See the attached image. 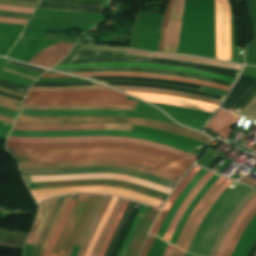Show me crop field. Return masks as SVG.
I'll return each instance as SVG.
<instances>
[{"label":"crop field","mask_w":256,"mask_h":256,"mask_svg":"<svg viewBox=\"0 0 256 256\" xmlns=\"http://www.w3.org/2000/svg\"><path fill=\"white\" fill-rule=\"evenodd\" d=\"M19 161L68 162L99 159H117L140 163L158 168L180 177L189 166L179 164L152 154L114 148L66 149L53 151H32L7 148Z\"/></svg>","instance_id":"obj_1"},{"label":"crop field","mask_w":256,"mask_h":256,"mask_svg":"<svg viewBox=\"0 0 256 256\" xmlns=\"http://www.w3.org/2000/svg\"><path fill=\"white\" fill-rule=\"evenodd\" d=\"M16 123H30V124H89V123H124V124H138L147 127L160 129L163 131L183 135L202 142H209L210 138L187 128L158 121L133 119V118H119V117H24L19 116Z\"/></svg>","instance_id":"obj_2"},{"label":"crop field","mask_w":256,"mask_h":256,"mask_svg":"<svg viewBox=\"0 0 256 256\" xmlns=\"http://www.w3.org/2000/svg\"><path fill=\"white\" fill-rule=\"evenodd\" d=\"M98 195L79 194L51 256H69Z\"/></svg>","instance_id":"obj_3"},{"label":"crop field","mask_w":256,"mask_h":256,"mask_svg":"<svg viewBox=\"0 0 256 256\" xmlns=\"http://www.w3.org/2000/svg\"><path fill=\"white\" fill-rule=\"evenodd\" d=\"M232 180L220 176V178L212 185L209 191L200 200L198 205L189 215L178 239L176 246L187 250L196 229L204 218L212 204L221 195V193L227 188Z\"/></svg>","instance_id":"obj_4"},{"label":"crop field","mask_w":256,"mask_h":256,"mask_svg":"<svg viewBox=\"0 0 256 256\" xmlns=\"http://www.w3.org/2000/svg\"><path fill=\"white\" fill-rule=\"evenodd\" d=\"M6 147L17 149H33V150H52V149H66V148H86V147H115L136 150L140 152L152 153L179 163L191 166L193 161L183 157L170 154L158 149L149 148L142 145L116 143V142H89V143H70V144H27V143H11L7 142Z\"/></svg>","instance_id":"obj_5"},{"label":"crop field","mask_w":256,"mask_h":256,"mask_svg":"<svg viewBox=\"0 0 256 256\" xmlns=\"http://www.w3.org/2000/svg\"><path fill=\"white\" fill-rule=\"evenodd\" d=\"M7 141L12 142H27V143H70V142H88V141H117V142H128L143 144L149 147L159 148L170 153H174L185 158L195 161L196 156L186 153L181 150H177L164 145L139 140L135 138L126 137H110V136H95V137H50V138H32V137H9Z\"/></svg>","instance_id":"obj_6"},{"label":"crop field","mask_w":256,"mask_h":256,"mask_svg":"<svg viewBox=\"0 0 256 256\" xmlns=\"http://www.w3.org/2000/svg\"><path fill=\"white\" fill-rule=\"evenodd\" d=\"M66 192H88V193H107L114 194L124 198L140 201L143 203L151 204L157 206L160 200L139 194L127 189L122 188H113V187H105V186H85V187H63V188H55V189H40L31 191L33 197L36 201L43 200L45 198L56 196L58 194L66 193Z\"/></svg>","instance_id":"obj_7"},{"label":"crop field","mask_w":256,"mask_h":256,"mask_svg":"<svg viewBox=\"0 0 256 256\" xmlns=\"http://www.w3.org/2000/svg\"><path fill=\"white\" fill-rule=\"evenodd\" d=\"M94 135H110V136H127L135 137L144 140H149L157 143H161L167 146H171L177 149H181L191 153L195 148L186 146L180 143L169 141L163 138L146 135L142 133L124 132V131H64V132H24V131H11L9 136H33V137H49V136H94Z\"/></svg>","instance_id":"obj_8"},{"label":"crop field","mask_w":256,"mask_h":256,"mask_svg":"<svg viewBox=\"0 0 256 256\" xmlns=\"http://www.w3.org/2000/svg\"><path fill=\"white\" fill-rule=\"evenodd\" d=\"M216 59L231 61L230 7L227 0H215Z\"/></svg>","instance_id":"obj_9"},{"label":"crop field","mask_w":256,"mask_h":256,"mask_svg":"<svg viewBox=\"0 0 256 256\" xmlns=\"http://www.w3.org/2000/svg\"><path fill=\"white\" fill-rule=\"evenodd\" d=\"M54 168H66V167H82V166H96V165H105V166H119L129 169H134L138 171H142L144 165L123 162V161H116V160H99V161H85V162H69V163H53ZM20 169L25 168H53L52 163H26V162H19ZM144 172L165 178L167 180L177 182L180 177L175 175L169 174L167 172L154 169L151 167H145Z\"/></svg>","instance_id":"obj_10"},{"label":"crop field","mask_w":256,"mask_h":256,"mask_svg":"<svg viewBox=\"0 0 256 256\" xmlns=\"http://www.w3.org/2000/svg\"><path fill=\"white\" fill-rule=\"evenodd\" d=\"M29 190L62 186H85V185H107L114 187L127 188L139 193L147 194L165 201L167 194L160 193L142 186L126 183L118 180H81V181H57L42 183H27Z\"/></svg>","instance_id":"obj_11"},{"label":"crop field","mask_w":256,"mask_h":256,"mask_svg":"<svg viewBox=\"0 0 256 256\" xmlns=\"http://www.w3.org/2000/svg\"><path fill=\"white\" fill-rule=\"evenodd\" d=\"M127 96L115 90L87 92H28L30 100H70V99H122Z\"/></svg>","instance_id":"obj_12"},{"label":"crop field","mask_w":256,"mask_h":256,"mask_svg":"<svg viewBox=\"0 0 256 256\" xmlns=\"http://www.w3.org/2000/svg\"><path fill=\"white\" fill-rule=\"evenodd\" d=\"M31 182H41V181H57V180H81V179H119L138 185H142L157 191H161L169 194L170 189L162 187L160 185L154 184L149 181L141 180L136 177L124 176L119 174H103V173H94V174H73L65 176H30Z\"/></svg>","instance_id":"obj_13"},{"label":"crop field","mask_w":256,"mask_h":256,"mask_svg":"<svg viewBox=\"0 0 256 256\" xmlns=\"http://www.w3.org/2000/svg\"><path fill=\"white\" fill-rule=\"evenodd\" d=\"M134 125L124 124H89V125H29L15 124L13 129L24 131H64V130H93L115 129L131 131Z\"/></svg>","instance_id":"obj_14"},{"label":"crop field","mask_w":256,"mask_h":256,"mask_svg":"<svg viewBox=\"0 0 256 256\" xmlns=\"http://www.w3.org/2000/svg\"><path fill=\"white\" fill-rule=\"evenodd\" d=\"M110 66H133V67H145V68H156V69H164V70H171V71H179V72H186V73H193V74L215 77V78L223 79L225 81H229L232 83L235 80L233 78L212 74V73L194 71L186 68L172 67L167 65L149 64V63H98V64H83V65H56L52 69H72V68L110 67Z\"/></svg>","instance_id":"obj_15"},{"label":"crop field","mask_w":256,"mask_h":256,"mask_svg":"<svg viewBox=\"0 0 256 256\" xmlns=\"http://www.w3.org/2000/svg\"><path fill=\"white\" fill-rule=\"evenodd\" d=\"M128 93L138 96L140 98H143L147 101L166 103V104H171V105L180 106V107L200 109V110H204L211 113H213V111L217 107V105H213L210 103L194 101V100L181 98V97L156 95V94H150V93H136V92H128Z\"/></svg>","instance_id":"obj_16"},{"label":"crop field","mask_w":256,"mask_h":256,"mask_svg":"<svg viewBox=\"0 0 256 256\" xmlns=\"http://www.w3.org/2000/svg\"><path fill=\"white\" fill-rule=\"evenodd\" d=\"M184 0H173L163 52L176 53Z\"/></svg>","instance_id":"obj_17"},{"label":"crop field","mask_w":256,"mask_h":256,"mask_svg":"<svg viewBox=\"0 0 256 256\" xmlns=\"http://www.w3.org/2000/svg\"><path fill=\"white\" fill-rule=\"evenodd\" d=\"M77 195L78 194L72 195V197H71V195H69V196L66 197V199H65V201H64V203H63V205H62V207H61V209H60V211H59V213H58V215H57V217H56V219H55V221H54V223L52 225V228H51V230L49 232V235H48V237H47V239H46V241H45V243H44V245H43V247H42V249H41V251L39 253V256H43L44 255V253L46 251V248H47V246H48V244H49V242H50V240H51V238L53 236V233H54V231H55V229H56V227L58 225V222H59V220H60V218H61V216L63 214V211H64V209H65V207H66V205H67V203H68V201H69V199L71 197V199H70V201H69V203H68V205H67V207H66V209L64 211V214H63V216H62V218H61V220L59 222V225H58V227H57V229H56V231L54 233V236H53V238H52V240H51V242H50V244L48 246V249H47V251H46V253L44 255V256H50V254H51V252H52V250L54 248V245H55V243H56V241H57V239H58V237H59V235L61 233V230H62V228H63V226H64V224H65V222H66V220L68 218V215H69V213H70V211H71V209H72V207H73V205L75 203Z\"/></svg>","instance_id":"obj_18"},{"label":"crop field","mask_w":256,"mask_h":256,"mask_svg":"<svg viewBox=\"0 0 256 256\" xmlns=\"http://www.w3.org/2000/svg\"><path fill=\"white\" fill-rule=\"evenodd\" d=\"M72 46L70 43L58 42L41 50L29 63L50 68L62 60Z\"/></svg>","instance_id":"obj_19"},{"label":"crop field","mask_w":256,"mask_h":256,"mask_svg":"<svg viewBox=\"0 0 256 256\" xmlns=\"http://www.w3.org/2000/svg\"><path fill=\"white\" fill-rule=\"evenodd\" d=\"M157 213V211L152 210V207L148 206L124 256H137Z\"/></svg>","instance_id":"obj_20"},{"label":"crop field","mask_w":256,"mask_h":256,"mask_svg":"<svg viewBox=\"0 0 256 256\" xmlns=\"http://www.w3.org/2000/svg\"><path fill=\"white\" fill-rule=\"evenodd\" d=\"M73 74L80 75V76H139V77H149V78H157V79H170L175 81H184V82H191L195 84L207 85V86L216 87V88H220L227 91L229 90V87L211 83V82H205V81H199V80H193V79H187V78H181V77H175V76L154 75V74H146V73L87 72V73H73Z\"/></svg>","instance_id":"obj_21"},{"label":"crop field","mask_w":256,"mask_h":256,"mask_svg":"<svg viewBox=\"0 0 256 256\" xmlns=\"http://www.w3.org/2000/svg\"><path fill=\"white\" fill-rule=\"evenodd\" d=\"M239 117L240 115L219 109L205 128L210 129L227 139L234 123Z\"/></svg>","instance_id":"obj_22"},{"label":"crop field","mask_w":256,"mask_h":256,"mask_svg":"<svg viewBox=\"0 0 256 256\" xmlns=\"http://www.w3.org/2000/svg\"><path fill=\"white\" fill-rule=\"evenodd\" d=\"M201 169V167L194 165V167L189 171V173L183 178V180L180 182V184L177 186V188L173 191L171 196L166 201L163 209L159 213L150 233L153 235H156L159 227L161 226L164 218L166 217L168 211L184 189V187L188 184V182L193 178V176Z\"/></svg>","instance_id":"obj_23"},{"label":"crop field","mask_w":256,"mask_h":256,"mask_svg":"<svg viewBox=\"0 0 256 256\" xmlns=\"http://www.w3.org/2000/svg\"><path fill=\"white\" fill-rule=\"evenodd\" d=\"M57 198V197H56ZM56 198L49 199L39 204L35 224L26 240V243L34 245L52 208Z\"/></svg>","instance_id":"obj_24"},{"label":"crop field","mask_w":256,"mask_h":256,"mask_svg":"<svg viewBox=\"0 0 256 256\" xmlns=\"http://www.w3.org/2000/svg\"><path fill=\"white\" fill-rule=\"evenodd\" d=\"M213 175V173L207 171V173L199 180V182L195 185V187L192 189V191L189 193V195L186 197V199L181 204L180 208L178 209L172 223L170 224L165 236L164 240L168 241L170 240L172 233L178 224L183 212L185 211L188 204L191 202V200L195 197L197 192L200 190V188L204 185V183Z\"/></svg>","instance_id":"obj_25"},{"label":"crop field","mask_w":256,"mask_h":256,"mask_svg":"<svg viewBox=\"0 0 256 256\" xmlns=\"http://www.w3.org/2000/svg\"><path fill=\"white\" fill-rule=\"evenodd\" d=\"M206 173V170L201 169L195 176L194 178L189 182V184L185 187V189L183 190V192L181 193V195L179 196V198L177 199V201L175 202V204L173 205V207L171 208V210L169 211L167 217L165 218L158 234L157 237L159 238H163L166 229L168 227V225L170 224L174 214L176 213L177 209L179 208L180 204L182 203V201L185 199V197L188 195V193L190 192V190L193 188V186L198 182V180Z\"/></svg>","instance_id":"obj_26"},{"label":"crop field","mask_w":256,"mask_h":256,"mask_svg":"<svg viewBox=\"0 0 256 256\" xmlns=\"http://www.w3.org/2000/svg\"><path fill=\"white\" fill-rule=\"evenodd\" d=\"M120 90H127V91H137V92H150V88L146 87H124V86H112ZM152 93H158V94H166V95H174V96H182L194 100L199 101H205L210 102L219 105L221 100L209 98V97H203V96H197V95H191L186 94L182 92L172 91V90H166V89H158V88H151Z\"/></svg>","instance_id":"obj_27"},{"label":"crop field","mask_w":256,"mask_h":256,"mask_svg":"<svg viewBox=\"0 0 256 256\" xmlns=\"http://www.w3.org/2000/svg\"><path fill=\"white\" fill-rule=\"evenodd\" d=\"M256 193L255 190L252 189V191L240 202V204L234 209V211L230 214L229 218L227 219L225 225L223 226L211 252L210 256H215L217 253V250L234 219L237 217V215L241 212V210L245 207V205L250 201V199L253 197V195Z\"/></svg>","instance_id":"obj_28"},{"label":"crop field","mask_w":256,"mask_h":256,"mask_svg":"<svg viewBox=\"0 0 256 256\" xmlns=\"http://www.w3.org/2000/svg\"><path fill=\"white\" fill-rule=\"evenodd\" d=\"M137 101L121 100H71V101H29L25 100L24 104L28 105H62V104H129L136 105Z\"/></svg>","instance_id":"obj_29"},{"label":"crop field","mask_w":256,"mask_h":256,"mask_svg":"<svg viewBox=\"0 0 256 256\" xmlns=\"http://www.w3.org/2000/svg\"><path fill=\"white\" fill-rule=\"evenodd\" d=\"M218 177H219V175L214 174L208 180V182L205 184V186L201 189V191L197 194V196L194 198V200L191 202L189 207L184 212L179 224L177 225V227L173 233V236L170 240V243L175 244L177 237H178V235L182 229V226H183L184 222L186 221L188 215L191 213V211L194 209V207L197 205V203L203 197V195L207 192V190L210 188V186L218 179Z\"/></svg>","instance_id":"obj_30"},{"label":"crop field","mask_w":256,"mask_h":256,"mask_svg":"<svg viewBox=\"0 0 256 256\" xmlns=\"http://www.w3.org/2000/svg\"><path fill=\"white\" fill-rule=\"evenodd\" d=\"M255 204H256V194L251 199V201L247 204V206L242 210V212L238 215V217L235 219V221L233 222V224L229 228V230H228V232H227V234H226V236H225V238H224L216 256H223L234 231L236 230V228L238 227V225L240 224L242 219L245 217V215L251 210V208Z\"/></svg>","instance_id":"obj_31"},{"label":"crop field","mask_w":256,"mask_h":256,"mask_svg":"<svg viewBox=\"0 0 256 256\" xmlns=\"http://www.w3.org/2000/svg\"><path fill=\"white\" fill-rule=\"evenodd\" d=\"M23 108L30 109H68V106H28L24 105ZM136 106L125 105H70L69 109H124L135 110Z\"/></svg>","instance_id":"obj_32"},{"label":"crop field","mask_w":256,"mask_h":256,"mask_svg":"<svg viewBox=\"0 0 256 256\" xmlns=\"http://www.w3.org/2000/svg\"><path fill=\"white\" fill-rule=\"evenodd\" d=\"M64 198H65V196L57 198V201H56L55 206H54V208H53V210H52V212H51V214L48 218V221H52V222L54 221ZM48 221L45 224V227H44V229H43V231H42V233H41V235H40V237H39V239H38V241H37V243L34 247V250L31 254V256H38L40 248H41V246H42V244H43V242H44V240H45V238H46V236H47V234H48V232L51 228V225H52V222H48Z\"/></svg>","instance_id":"obj_33"},{"label":"crop field","mask_w":256,"mask_h":256,"mask_svg":"<svg viewBox=\"0 0 256 256\" xmlns=\"http://www.w3.org/2000/svg\"><path fill=\"white\" fill-rule=\"evenodd\" d=\"M116 200H117V198L112 197V199H111V201H110V203H109V205H108V207H107V209H106V211H105V213H104V215H103V217H102V219H101V221H100V223H99V225H98V227L95 231V234H94V236H93V238H92L84 256H90L91 255L92 250H93V248H94V246H95V244H96V242H97V240H98V238H99V236L102 232V229H103V227H104V225H105V223L108 219V216H109Z\"/></svg>","instance_id":"obj_34"},{"label":"crop field","mask_w":256,"mask_h":256,"mask_svg":"<svg viewBox=\"0 0 256 256\" xmlns=\"http://www.w3.org/2000/svg\"><path fill=\"white\" fill-rule=\"evenodd\" d=\"M110 199H111V197L106 196V198H105L104 202L102 203L98 213H100V214L104 213ZM100 214L96 215V217H95V219H94V221H93V223H92V225L89 229V232H88V234H87V236H86V238H85V240H84V242H83V244H82V246H81V248L78 252L79 254H82V255L84 254V252H85V250H86V248L89 244V241H90V239H91V237H92V235H93V233H94V231H95V229H96V227H97V225H98V223H99V221L102 217V215H100ZM79 254L77 256H82V255H79Z\"/></svg>","instance_id":"obj_35"},{"label":"crop field","mask_w":256,"mask_h":256,"mask_svg":"<svg viewBox=\"0 0 256 256\" xmlns=\"http://www.w3.org/2000/svg\"><path fill=\"white\" fill-rule=\"evenodd\" d=\"M256 213V205L252 208V210L246 215V217L243 219L241 225L238 227V229L236 230L228 248L227 251L225 253L224 256H231L232 251L240 237V235L242 234L243 230L245 229V227L248 225V223L250 222V220L252 219V217L254 216V214Z\"/></svg>","instance_id":"obj_36"},{"label":"crop field","mask_w":256,"mask_h":256,"mask_svg":"<svg viewBox=\"0 0 256 256\" xmlns=\"http://www.w3.org/2000/svg\"><path fill=\"white\" fill-rule=\"evenodd\" d=\"M128 203H129V200L125 199L121 208H120V210H119V212H118V214H117V216H116V218H115V220H114V222H113V224H112V226H111V228H110V230H109V232H108L107 238H106L98 256H103L104 255V253H105V251H106V249H107V247H108V245H109V243H110V241H111V239H112V237H113V235L116 231V228H117V226L120 222V219H121V217L123 215V212H124L126 206L128 205Z\"/></svg>","instance_id":"obj_37"},{"label":"crop field","mask_w":256,"mask_h":256,"mask_svg":"<svg viewBox=\"0 0 256 256\" xmlns=\"http://www.w3.org/2000/svg\"><path fill=\"white\" fill-rule=\"evenodd\" d=\"M122 201H123V199H121V198L118 199V201H117V203H116V205H115V207L113 209L114 211H116V212L118 211ZM114 211H112V213H111V215H110V217H109V219H108V221H107V223H106V225H105V227L103 229V232H102V234H101L99 239H102V240L105 239V237L107 235V232H108V229H109V227H110V225H111V223H112V221H113V219H114V217L116 215V212H114ZM102 243H103V241H101V240L98 241V243H97V245H96V247H95V249H94V251H93L91 256H97L98 251H99Z\"/></svg>","instance_id":"obj_38"},{"label":"crop field","mask_w":256,"mask_h":256,"mask_svg":"<svg viewBox=\"0 0 256 256\" xmlns=\"http://www.w3.org/2000/svg\"><path fill=\"white\" fill-rule=\"evenodd\" d=\"M146 208H147V206L142 205V207H141V209H140V211H139V213H138V215H137V217H136V219H135V221H134V223H133V225H132V227H131V229L128 233V236H127V238H126V240H125V242H124V244H123V246H122V248H121V250L118 254V256H123V254H124L128 244H129V242H130V240H131V238H132V236H133V234H134V232H135V230L138 226V223H139L141 217L143 216V214L146 210Z\"/></svg>","instance_id":"obj_39"},{"label":"crop field","mask_w":256,"mask_h":256,"mask_svg":"<svg viewBox=\"0 0 256 256\" xmlns=\"http://www.w3.org/2000/svg\"><path fill=\"white\" fill-rule=\"evenodd\" d=\"M171 5H172V0H168L167 7H166V12H165V15H164V18H163L161 35H160V39H159V43H158L156 51L162 52V50H163V45H164V40H165V35H166V30H167V25H168L170 10H171Z\"/></svg>","instance_id":"obj_40"},{"label":"crop field","mask_w":256,"mask_h":256,"mask_svg":"<svg viewBox=\"0 0 256 256\" xmlns=\"http://www.w3.org/2000/svg\"><path fill=\"white\" fill-rule=\"evenodd\" d=\"M103 199H104V197L99 196V198H98V200H97V202H96V204H95V206H94V208H93V210H92V212H91V214H90V216H89V218H88V220H87V222H86V224H85V226H84V228L81 232V235H80L76 245H78V246L81 245V243H82V241H83V239H84V237H85V235H86V233H87V231H88V229H89V227H90V225H91V223L94 219V216H95L97 210L99 209V207H100V205L103 201Z\"/></svg>","instance_id":"obj_41"},{"label":"crop field","mask_w":256,"mask_h":256,"mask_svg":"<svg viewBox=\"0 0 256 256\" xmlns=\"http://www.w3.org/2000/svg\"><path fill=\"white\" fill-rule=\"evenodd\" d=\"M55 91H80V90H106L109 89L104 86H95V87H79V88H54ZM32 91H54L53 88H36L31 87Z\"/></svg>","instance_id":"obj_42"},{"label":"crop field","mask_w":256,"mask_h":256,"mask_svg":"<svg viewBox=\"0 0 256 256\" xmlns=\"http://www.w3.org/2000/svg\"><path fill=\"white\" fill-rule=\"evenodd\" d=\"M240 114L249 116L256 120V97L245 107V109Z\"/></svg>","instance_id":"obj_43"},{"label":"crop field","mask_w":256,"mask_h":256,"mask_svg":"<svg viewBox=\"0 0 256 256\" xmlns=\"http://www.w3.org/2000/svg\"><path fill=\"white\" fill-rule=\"evenodd\" d=\"M0 4L31 7V8H35L37 5V3H34V2L15 1V0H0Z\"/></svg>","instance_id":"obj_44"},{"label":"crop field","mask_w":256,"mask_h":256,"mask_svg":"<svg viewBox=\"0 0 256 256\" xmlns=\"http://www.w3.org/2000/svg\"><path fill=\"white\" fill-rule=\"evenodd\" d=\"M0 103L4 104V105H7V106H11V107L21 109V106H22L23 102L0 96Z\"/></svg>","instance_id":"obj_45"},{"label":"crop field","mask_w":256,"mask_h":256,"mask_svg":"<svg viewBox=\"0 0 256 256\" xmlns=\"http://www.w3.org/2000/svg\"><path fill=\"white\" fill-rule=\"evenodd\" d=\"M0 16L29 19V17L31 16V14L14 13V12H8V11H2V10H0Z\"/></svg>","instance_id":"obj_46"},{"label":"crop field","mask_w":256,"mask_h":256,"mask_svg":"<svg viewBox=\"0 0 256 256\" xmlns=\"http://www.w3.org/2000/svg\"><path fill=\"white\" fill-rule=\"evenodd\" d=\"M153 240H154L153 238H151L149 236L147 237L139 256H147Z\"/></svg>","instance_id":"obj_47"},{"label":"crop field","mask_w":256,"mask_h":256,"mask_svg":"<svg viewBox=\"0 0 256 256\" xmlns=\"http://www.w3.org/2000/svg\"><path fill=\"white\" fill-rule=\"evenodd\" d=\"M0 9L21 11V12H29V13H33V11H34V9L11 7V6H5V5H0Z\"/></svg>","instance_id":"obj_48"},{"label":"crop field","mask_w":256,"mask_h":256,"mask_svg":"<svg viewBox=\"0 0 256 256\" xmlns=\"http://www.w3.org/2000/svg\"><path fill=\"white\" fill-rule=\"evenodd\" d=\"M0 22L26 24L27 20L0 17Z\"/></svg>","instance_id":"obj_49"},{"label":"crop field","mask_w":256,"mask_h":256,"mask_svg":"<svg viewBox=\"0 0 256 256\" xmlns=\"http://www.w3.org/2000/svg\"><path fill=\"white\" fill-rule=\"evenodd\" d=\"M0 114L4 115V116H7V117H11V118L16 119V117L18 115V112H14V111H11V110H8V109H4V108L0 107Z\"/></svg>","instance_id":"obj_50"},{"label":"crop field","mask_w":256,"mask_h":256,"mask_svg":"<svg viewBox=\"0 0 256 256\" xmlns=\"http://www.w3.org/2000/svg\"><path fill=\"white\" fill-rule=\"evenodd\" d=\"M2 70H3V71H7V72L14 73V74H16V75H19V76H21V77H24V78H27V79H30V80H33V81H35V79H36V77H32V76H29V75H25V74H22V73H18V72H15V71H13V70L7 69V68H5V67H3Z\"/></svg>","instance_id":"obj_51"},{"label":"crop field","mask_w":256,"mask_h":256,"mask_svg":"<svg viewBox=\"0 0 256 256\" xmlns=\"http://www.w3.org/2000/svg\"><path fill=\"white\" fill-rule=\"evenodd\" d=\"M239 182H242V183L247 184V185L252 186V187H254V186L256 185V181H255V180L250 179V178H247V177H245V176H243V177L239 180Z\"/></svg>","instance_id":"obj_52"},{"label":"crop field","mask_w":256,"mask_h":256,"mask_svg":"<svg viewBox=\"0 0 256 256\" xmlns=\"http://www.w3.org/2000/svg\"><path fill=\"white\" fill-rule=\"evenodd\" d=\"M184 255H185V252L174 247L170 256H184Z\"/></svg>","instance_id":"obj_53"},{"label":"crop field","mask_w":256,"mask_h":256,"mask_svg":"<svg viewBox=\"0 0 256 256\" xmlns=\"http://www.w3.org/2000/svg\"><path fill=\"white\" fill-rule=\"evenodd\" d=\"M0 91H3V92H6V93H10V94H13V95L25 98V95H22L20 93H17V92L11 91V90H7V89L1 88V87H0Z\"/></svg>","instance_id":"obj_54"},{"label":"crop field","mask_w":256,"mask_h":256,"mask_svg":"<svg viewBox=\"0 0 256 256\" xmlns=\"http://www.w3.org/2000/svg\"><path fill=\"white\" fill-rule=\"evenodd\" d=\"M41 77H70V76L63 75V74H44Z\"/></svg>","instance_id":"obj_55"},{"label":"crop field","mask_w":256,"mask_h":256,"mask_svg":"<svg viewBox=\"0 0 256 256\" xmlns=\"http://www.w3.org/2000/svg\"><path fill=\"white\" fill-rule=\"evenodd\" d=\"M172 249H173V246L168 245V247H167V249H166V251H165L163 256H169L171 251H172Z\"/></svg>","instance_id":"obj_56"},{"label":"crop field","mask_w":256,"mask_h":256,"mask_svg":"<svg viewBox=\"0 0 256 256\" xmlns=\"http://www.w3.org/2000/svg\"><path fill=\"white\" fill-rule=\"evenodd\" d=\"M0 120H3V121H7V122H10V123H14V119H10V118H7V117H3V116H0Z\"/></svg>","instance_id":"obj_57"},{"label":"crop field","mask_w":256,"mask_h":256,"mask_svg":"<svg viewBox=\"0 0 256 256\" xmlns=\"http://www.w3.org/2000/svg\"><path fill=\"white\" fill-rule=\"evenodd\" d=\"M0 106L5 107V108H9V109H12V110H15V111H18V112L20 111L18 109L10 108V107H7V106L1 105V104H0Z\"/></svg>","instance_id":"obj_58"},{"label":"crop field","mask_w":256,"mask_h":256,"mask_svg":"<svg viewBox=\"0 0 256 256\" xmlns=\"http://www.w3.org/2000/svg\"><path fill=\"white\" fill-rule=\"evenodd\" d=\"M0 123L12 127V124H10V123H6V122H2V121H0Z\"/></svg>","instance_id":"obj_59"}]
</instances>
